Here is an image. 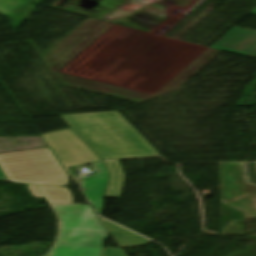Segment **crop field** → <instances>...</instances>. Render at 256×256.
Segmentation results:
<instances>
[{"mask_svg":"<svg viewBox=\"0 0 256 256\" xmlns=\"http://www.w3.org/2000/svg\"><path fill=\"white\" fill-rule=\"evenodd\" d=\"M210 48L256 59V33L233 28Z\"/></svg>","mask_w":256,"mask_h":256,"instance_id":"obj_6","label":"crop field"},{"mask_svg":"<svg viewBox=\"0 0 256 256\" xmlns=\"http://www.w3.org/2000/svg\"><path fill=\"white\" fill-rule=\"evenodd\" d=\"M102 256H125L122 249L104 248Z\"/></svg>","mask_w":256,"mask_h":256,"instance_id":"obj_11","label":"crop field"},{"mask_svg":"<svg viewBox=\"0 0 256 256\" xmlns=\"http://www.w3.org/2000/svg\"><path fill=\"white\" fill-rule=\"evenodd\" d=\"M92 167L96 174L91 176L89 181H83L82 191L93 204L98 214H100L107 174L101 163L95 164Z\"/></svg>","mask_w":256,"mask_h":256,"instance_id":"obj_7","label":"crop field"},{"mask_svg":"<svg viewBox=\"0 0 256 256\" xmlns=\"http://www.w3.org/2000/svg\"><path fill=\"white\" fill-rule=\"evenodd\" d=\"M223 203L256 218V186L246 184L243 164H220Z\"/></svg>","mask_w":256,"mask_h":256,"instance_id":"obj_4","label":"crop field"},{"mask_svg":"<svg viewBox=\"0 0 256 256\" xmlns=\"http://www.w3.org/2000/svg\"><path fill=\"white\" fill-rule=\"evenodd\" d=\"M34 198L45 197L49 204L73 203L67 188L27 186Z\"/></svg>","mask_w":256,"mask_h":256,"instance_id":"obj_8","label":"crop field"},{"mask_svg":"<svg viewBox=\"0 0 256 256\" xmlns=\"http://www.w3.org/2000/svg\"><path fill=\"white\" fill-rule=\"evenodd\" d=\"M0 164L13 182L67 185V176L48 149L0 154Z\"/></svg>","mask_w":256,"mask_h":256,"instance_id":"obj_3","label":"crop field"},{"mask_svg":"<svg viewBox=\"0 0 256 256\" xmlns=\"http://www.w3.org/2000/svg\"><path fill=\"white\" fill-rule=\"evenodd\" d=\"M103 159L159 156L117 112L60 116Z\"/></svg>","mask_w":256,"mask_h":256,"instance_id":"obj_1","label":"crop field"},{"mask_svg":"<svg viewBox=\"0 0 256 256\" xmlns=\"http://www.w3.org/2000/svg\"><path fill=\"white\" fill-rule=\"evenodd\" d=\"M61 231L51 256H100L108 234L89 205L54 206Z\"/></svg>","mask_w":256,"mask_h":256,"instance_id":"obj_2","label":"crop field"},{"mask_svg":"<svg viewBox=\"0 0 256 256\" xmlns=\"http://www.w3.org/2000/svg\"><path fill=\"white\" fill-rule=\"evenodd\" d=\"M41 137L76 186L79 184L72 175V169L75 166L100 161L70 129L42 134Z\"/></svg>","mask_w":256,"mask_h":256,"instance_id":"obj_5","label":"crop field"},{"mask_svg":"<svg viewBox=\"0 0 256 256\" xmlns=\"http://www.w3.org/2000/svg\"><path fill=\"white\" fill-rule=\"evenodd\" d=\"M102 221L106 225L108 230L111 232V234L113 235V237L115 238V240L117 241V243L121 248H127L131 246H136V245H141V244H146L148 242H151L139 235H136L121 227L111 224L105 220H102Z\"/></svg>","mask_w":256,"mask_h":256,"instance_id":"obj_9","label":"crop field"},{"mask_svg":"<svg viewBox=\"0 0 256 256\" xmlns=\"http://www.w3.org/2000/svg\"><path fill=\"white\" fill-rule=\"evenodd\" d=\"M0 180L8 181L1 169H0Z\"/></svg>","mask_w":256,"mask_h":256,"instance_id":"obj_12","label":"crop field"},{"mask_svg":"<svg viewBox=\"0 0 256 256\" xmlns=\"http://www.w3.org/2000/svg\"><path fill=\"white\" fill-rule=\"evenodd\" d=\"M105 163L111 175L105 197L119 199V195H120V191H121V187L124 179L121 166L118 161H109Z\"/></svg>","mask_w":256,"mask_h":256,"instance_id":"obj_10","label":"crop field"}]
</instances>
